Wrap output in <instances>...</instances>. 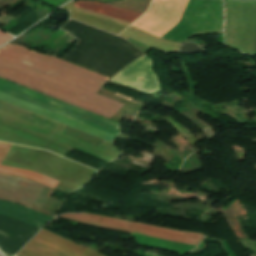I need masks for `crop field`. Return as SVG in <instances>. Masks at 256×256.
Here are the masks:
<instances>
[{"instance_id":"14","label":"crop field","mask_w":256,"mask_h":256,"mask_svg":"<svg viewBox=\"0 0 256 256\" xmlns=\"http://www.w3.org/2000/svg\"><path fill=\"white\" fill-rule=\"evenodd\" d=\"M15 256H17V255H15Z\"/></svg>"},{"instance_id":"12","label":"crop field","mask_w":256,"mask_h":256,"mask_svg":"<svg viewBox=\"0 0 256 256\" xmlns=\"http://www.w3.org/2000/svg\"><path fill=\"white\" fill-rule=\"evenodd\" d=\"M9 147H10L9 144L0 143V156L1 157H4L5 153L9 149ZM1 160H2V158H0V162H1Z\"/></svg>"},{"instance_id":"11","label":"crop field","mask_w":256,"mask_h":256,"mask_svg":"<svg viewBox=\"0 0 256 256\" xmlns=\"http://www.w3.org/2000/svg\"><path fill=\"white\" fill-rule=\"evenodd\" d=\"M0 173L30 178L32 180L38 181L45 185L51 186L53 188H55V186L58 184V181H55L53 179L47 178L37 173L25 171V170H19V169L0 166Z\"/></svg>"},{"instance_id":"2","label":"crop field","mask_w":256,"mask_h":256,"mask_svg":"<svg viewBox=\"0 0 256 256\" xmlns=\"http://www.w3.org/2000/svg\"><path fill=\"white\" fill-rule=\"evenodd\" d=\"M223 0H189L179 23L162 39L182 43L195 34L222 31Z\"/></svg>"},{"instance_id":"10","label":"crop field","mask_w":256,"mask_h":256,"mask_svg":"<svg viewBox=\"0 0 256 256\" xmlns=\"http://www.w3.org/2000/svg\"><path fill=\"white\" fill-rule=\"evenodd\" d=\"M75 5L79 8L87 9L90 11L105 14L108 16H112L115 18L130 21V22H132L139 15H141V13H137V12H133V11H129V10L101 4V3H96L92 1L78 0L75 2Z\"/></svg>"},{"instance_id":"1","label":"crop field","mask_w":256,"mask_h":256,"mask_svg":"<svg viewBox=\"0 0 256 256\" xmlns=\"http://www.w3.org/2000/svg\"><path fill=\"white\" fill-rule=\"evenodd\" d=\"M0 76L107 118L122 106L95 94L108 78L21 46L0 49Z\"/></svg>"},{"instance_id":"13","label":"crop field","mask_w":256,"mask_h":256,"mask_svg":"<svg viewBox=\"0 0 256 256\" xmlns=\"http://www.w3.org/2000/svg\"><path fill=\"white\" fill-rule=\"evenodd\" d=\"M12 38L11 36L0 31V45Z\"/></svg>"},{"instance_id":"3","label":"crop field","mask_w":256,"mask_h":256,"mask_svg":"<svg viewBox=\"0 0 256 256\" xmlns=\"http://www.w3.org/2000/svg\"><path fill=\"white\" fill-rule=\"evenodd\" d=\"M0 92L45 108L73 120L79 121L107 133L113 134L115 136L123 132V130L118 128L119 124L117 123L111 122L36 92L22 88L2 79H0Z\"/></svg>"},{"instance_id":"4","label":"crop field","mask_w":256,"mask_h":256,"mask_svg":"<svg viewBox=\"0 0 256 256\" xmlns=\"http://www.w3.org/2000/svg\"><path fill=\"white\" fill-rule=\"evenodd\" d=\"M59 217L108 230L140 234L193 245H196L203 237V234L174 231L87 213L63 214Z\"/></svg>"},{"instance_id":"7","label":"crop field","mask_w":256,"mask_h":256,"mask_svg":"<svg viewBox=\"0 0 256 256\" xmlns=\"http://www.w3.org/2000/svg\"><path fill=\"white\" fill-rule=\"evenodd\" d=\"M70 241V240H69ZM41 230L17 254L19 256H103L93 250Z\"/></svg>"},{"instance_id":"5","label":"crop field","mask_w":256,"mask_h":256,"mask_svg":"<svg viewBox=\"0 0 256 256\" xmlns=\"http://www.w3.org/2000/svg\"><path fill=\"white\" fill-rule=\"evenodd\" d=\"M53 189L25 179L0 175V199L11 200L54 217L62 201L49 198Z\"/></svg>"},{"instance_id":"6","label":"crop field","mask_w":256,"mask_h":256,"mask_svg":"<svg viewBox=\"0 0 256 256\" xmlns=\"http://www.w3.org/2000/svg\"><path fill=\"white\" fill-rule=\"evenodd\" d=\"M188 0H153L150 9L132 26L160 38L180 19Z\"/></svg>"},{"instance_id":"8","label":"crop field","mask_w":256,"mask_h":256,"mask_svg":"<svg viewBox=\"0 0 256 256\" xmlns=\"http://www.w3.org/2000/svg\"><path fill=\"white\" fill-rule=\"evenodd\" d=\"M152 64L153 60L144 54L120 70L110 81L146 93L157 92L161 86L152 70Z\"/></svg>"},{"instance_id":"9","label":"crop field","mask_w":256,"mask_h":256,"mask_svg":"<svg viewBox=\"0 0 256 256\" xmlns=\"http://www.w3.org/2000/svg\"><path fill=\"white\" fill-rule=\"evenodd\" d=\"M0 213L14 217L39 228H42L46 223L52 220L50 217L6 201H0Z\"/></svg>"}]
</instances>
